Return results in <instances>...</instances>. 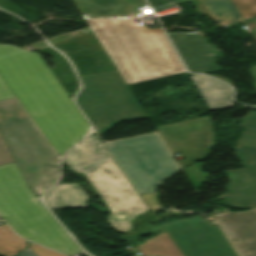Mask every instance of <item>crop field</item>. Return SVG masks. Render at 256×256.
<instances>
[{
    "label": "crop field",
    "mask_w": 256,
    "mask_h": 256,
    "mask_svg": "<svg viewBox=\"0 0 256 256\" xmlns=\"http://www.w3.org/2000/svg\"><path fill=\"white\" fill-rule=\"evenodd\" d=\"M50 72L37 52L0 45L1 78L61 155L91 129Z\"/></svg>",
    "instance_id": "8a807250"
},
{
    "label": "crop field",
    "mask_w": 256,
    "mask_h": 256,
    "mask_svg": "<svg viewBox=\"0 0 256 256\" xmlns=\"http://www.w3.org/2000/svg\"><path fill=\"white\" fill-rule=\"evenodd\" d=\"M127 85L185 72L160 28L132 19L86 20Z\"/></svg>",
    "instance_id": "ac0d7876"
},
{
    "label": "crop field",
    "mask_w": 256,
    "mask_h": 256,
    "mask_svg": "<svg viewBox=\"0 0 256 256\" xmlns=\"http://www.w3.org/2000/svg\"><path fill=\"white\" fill-rule=\"evenodd\" d=\"M95 135L73 148L63 161L72 172H81L99 192L110 215L107 217L116 232L131 229L130 220L148 209L100 140L96 150Z\"/></svg>",
    "instance_id": "34b2d1b8"
},
{
    "label": "crop field",
    "mask_w": 256,
    "mask_h": 256,
    "mask_svg": "<svg viewBox=\"0 0 256 256\" xmlns=\"http://www.w3.org/2000/svg\"><path fill=\"white\" fill-rule=\"evenodd\" d=\"M0 216L28 240L67 255L81 253L26 186L15 163L0 166Z\"/></svg>",
    "instance_id": "412701ff"
},
{
    "label": "crop field",
    "mask_w": 256,
    "mask_h": 256,
    "mask_svg": "<svg viewBox=\"0 0 256 256\" xmlns=\"http://www.w3.org/2000/svg\"><path fill=\"white\" fill-rule=\"evenodd\" d=\"M0 130L31 189L47 188L58 180L56 155L14 99L0 101Z\"/></svg>",
    "instance_id": "f4fd0767"
},
{
    "label": "crop field",
    "mask_w": 256,
    "mask_h": 256,
    "mask_svg": "<svg viewBox=\"0 0 256 256\" xmlns=\"http://www.w3.org/2000/svg\"><path fill=\"white\" fill-rule=\"evenodd\" d=\"M81 79L84 88L76 101L100 135L126 119L147 117L118 71Z\"/></svg>",
    "instance_id": "dd49c442"
},
{
    "label": "crop field",
    "mask_w": 256,
    "mask_h": 256,
    "mask_svg": "<svg viewBox=\"0 0 256 256\" xmlns=\"http://www.w3.org/2000/svg\"><path fill=\"white\" fill-rule=\"evenodd\" d=\"M139 194L154 192L178 166L157 134L105 143Z\"/></svg>",
    "instance_id": "e52e79f7"
},
{
    "label": "crop field",
    "mask_w": 256,
    "mask_h": 256,
    "mask_svg": "<svg viewBox=\"0 0 256 256\" xmlns=\"http://www.w3.org/2000/svg\"><path fill=\"white\" fill-rule=\"evenodd\" d=\"M162 225L183 256H237L215 222L196 216Z\"/></svg>",
    "instance_id": "d8731c3e"
},
{
    "label": "crop field",
    "mask_w": 256,
    "mask_h": 256,
    "mask_svg": "<svg viewBox=\"0 0 256 256\" xmlns=\"http://www.w3.org/2000/svg\"><path fill=\"white\" fill-rule=\"evenodd\" d=\"M172 151L181 152V167L203 160L209 153L213 135L208 116L156 127Z\"/></svg>",
    "instance_id": "5a996713"
},
{
    "label": "crop field",
    "mask_w": 256,
    "mask_h": 256,
    "mask_svg": "<svg viewBox=\"0 0 256 256\" xmlns=\"http://www.w3.org/2000/svg\"><path fill=\"white\" fill-rule=\"evenodd\" d=\"M216 216L240 256H256V209Z\"/></svg>",
    "instance_id": "3316defc"
},
{
    "label": "crop field",
    "mask_w": 256,
    "mask_h": 256,
    "mask_svg": "<svg viewBox=\"0 0 256 256\" xmlns=\"http://www.w3.org/2000/svg\"><path fill=\"white\" fill-rule=\"evenodd\" d=\"M83 18L136 17L144 0H72Z\"/></svg>",
    "instance_id": "28ad6ade"
},
{
    "label": "crop field",
    "mask_w": 256,
    "mask_h": 256,
    "mask_svg": "<svg viewBox=\"0 0 256 256\" xmlns=\"http://www.w3.org/2000/svg\"><path fill=\"white\" fill-rule=\"evenodd\" d=\"M210 110L233 107L232 89L210 77L195 75L190 77Z\"/></svg>",
    "instance_id": "d1516ede"
},
{
    "label": "crop field",
    "mask_w": 256,
    "mask_h": 256,
    "mask_svg": "<svg viewBox=\"0 0 256 256\" xmlns=\"http://www.w3.org/2000/svg\"><path fill=\"white\" fill-rule=\"evenodd\" d=\"M42 199L49 209L85 207L88 200L76 184L56 185Z\"/></svg>",
    "instance_id": "22f410ed"
},
{
    "label": "crop field",
    "mask_w": 256,
    "mask_h": 256,
    "mask_svg": "<svg viewBox=\"0 0 256 256\" xmlns=\"http://www.w3.org/2000/svg\"><path fill=\"white\" fill-rule=\"evenodd\" d=\"M193 4L198 12L209 16L217 23L215 27L243 21L229 0H214Z\"/></svg>",
    "instance_id": "cbeb9de0"
},
{
    "label": "crop field",
    "mask_w": 256,
    "mask_h": 256,
    "mask_svg": "<svg viewBox=\"0 0 256 256\" xmlns=\"http://www.w3.org/2000/svg\"><path fill=\"white\" fill-rule=\"evenodd\" d=\"M235 152L256 190V130L247 128Z\"/></svg>",
    "instance_id": "5142ce71"
},
{
    "label": "crop field",
    "mask_w": 256,
    "mask_h": 256,
    "mask_svg": "<svg viewBox=\"0 0 256 256\" xmlns=\"http://www.w3.org/2000/svg\"><path fill=\"white\" fill-rule=\"evenodd\" d=\"M161 231L162 234L152 239L145 240L143 244L138 245V248L143 255L149 256L151 254H156L158 256H182L164 229Z\"/></svg>",
    "instance_id": "d9b57169"
},
{
    "label": "crop field",
    "mask_w": 256,
    "mask_h": 256,
    "mask_svg": "<svg viewBox=\"0 0 256 256\" xmlns=\"http://www.w3.org/2000/svg\"><path fill=\"white\" fill-rule=\"evenodd\" d=\"M25 240L15 235L4 224L0 226V256H13L26 247Z\"/></svg>",
    "instance_id": "733c2abd"
},
{
    "label": "crop field",
    "mask_w": 256,
    "mask_h": 256,
    "mask_svg": "<svg viewBox=\"0 0 256 256\" xmlns=\"http://www.w3.org/2000/svg\"><path fill=\"white\" fill-rule=\"evenodd\" d=\"M243 19L256 17V0H230Z\"/></svg>",
    "instance_id": "4a817a6b"
},
{
    "label": "crop field",
    "mask_w": 256,
    "mask_h": 256,
    "mask_svg": "<svg viewBox=\"0 0 256 256\" xmlns=\"http://www.w3.org/2000/svg\"><path fill=\"white\" fill-rule=\"evenodd\" d=\"M13 162V159L0 135V165Z\"/></svg>",
    "instance_id": "bc2a9ffb"
},
{
    "label": "crop field",
    "mask_w": 256,
    "mask_h": 256,
    "mask_svg": "<svg viewBox=\"0 0 256 256\" xmlns=\"http://www.w3.org/2000/svg\"><path fill=\"white\" fill-rule=\"evenodd\" d=\"M30 248L38 255V256H64L53 252L51 250L45 249L43 247L37 246L35 244L30 243Z\"/></svg>",
    "instance_id": "214f88e0"
},
{
    "label": "crop field",
    "mask_w": 256,
    "mask_h": 256,
    "mask_svg": "<svg viewBox=\"0 0 256 256\" xmlns=\"http://www.w3.org/2000/svg\"><path fill=\"white\" fill-rule=\"evenodd\" d=\"M15 98L3 80L0 78V100Z\"/></svg>",
    "instance_id": "92a150f3"
},
{
    "label": "crop field",
    "mask_w": 256,
    "mask_h": 256,
    "mask_svg": "<svg viewBox=\"0 0 256 256\" xmlns=\"http://www.w3.org/2000/svg\"><path fill=\"white\" fill-rule=\"evenodd\" d=\"M240 126L256 129V112H250Z\"/></svg>",
    "instance_id": "dafd665d"
},
{
    "label": "crop field",
    "mask_w": 256,
    "mask_h": 256,
    "mask_svg": "<svg viewBox=\"0 0 256 256\" xmlns=\"http://www.w3.org/2000/svg\"><path fill=\"white\" fill-rule=\"evenodd\" d=\"M173 5H176V3H174L173 1H169V2H167V3H163V4H161V5L155 6V7H153L152 9L154 10V12H156V11L165 9V8H167V7L173 6Z\"/></svg>",
    "instance_id": "00972430"
},
{
    "label": "crop field",
    "mask_w": 256,
    "mask_h": 256,
    "mask_svg": "<svg viewBox=\"0 0 256 256\" xmlns=\"http://www.w3.org/2000/svg\"><path fill=\"white\" fill-rule=\"evenodd\" d=\"M18 256H37L30 248L23 249Z\"/></svg>",
    "instance_id": "a9b5d70f"
},
{
    "label": "crop field",
    "mask_w": 256,
    "mask_h": 256,
    "mask_svg": "<svg viewBox=\"0 0 256 256\" xmlns=\"http://www.w3.org/2000/svg\"><path fill=\"white\" fill-rule=\"evenodd\" d=\"M250 74L254 78V85L256 87V66H250Z\"/></svg>",
    "instance_id": "4177f3b9"
},
{
    "label": "crop field",
    "mask_w": 256,
    "mask_h": 256,
    "mask_svg": "<svg viewBox=\"0 0 256 256\" xmlns=\"http://www.w3.org/2000/svg\"><path fill=\"white\" fill-rule=\"evenodd\" d=\"M166 1H169V0H148V2L150 3L151 7H153L155 5H158V4H161L163 2H166Z\"/></svg>",
    "instance_id": "730fd06b"
},
{
    "label": "crop field",
    "mask_w": 256,
    "mask_h": 256,
    "mask_svg": "<svg viewBox=\"0 0 256 256\" xmlns=\"http://www.w3.org/2000/svg\"><path fill=\"white\" fill-rule=\"evenodd\" d=\"M211 76H214V77H216V78H218V79H220V80H222V81L228 83L229 85L233 86L232 82L228 81V80L225 79V78H222V77L217 76V75H211ZM233 87H234V86H233Z\"/></svg>",
    "instance_id": "eef30255"
},
{
    "label": "crop field",
    "mask_w": 256,
    "mask_h": 256,
    "mask_svg": "<svg viewBox=\"0 0 256 256\" xmlns=\"http://www.w3.org/2000/svg\"><path fill=\"white\" fill-rule=\"evenodd\" d=\"M48 189V188H47ZM47 189H35V190H32L35 194H38V195H41L45 190Z\"/></svg>",
    "instance_id": "ae1a2a85"
},
{
    "label": "crop field",
    "mask_w": 256,
    "mask_h": 256,
    "mask_svg": "<svg viewBox=\"0 0 256 256\" xmlns=\"http://www.w3.org/2000/svg\"><path fill=\"white\" fill-rule=\"evenodd\" d=\"M184 1L196 2V1H205V0H184Z\"/></svg>",
    "instance_id": "d3111659"
},
{
    "label": "crop field",
    "mask_w": 256,
    "mask_h": 256,
    "mask_svg": "<svg viewBox=\"0 0 256 256\" xmlns=\"http://www.w3.org/2000/svg\"><path fill=\"white\" fill-rule=\"evenodd\" d=\"M96 146H97V149H98V144L95 142Z\"/></svg>",
    "instance_id": "750c4746"
}]
</instances>
